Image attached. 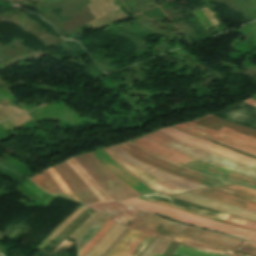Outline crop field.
Listing matches in <instances>:
<instances>
[{
	"mask_svg": "<svg viewBox=\"0 0 256 256\" xmlns=\"http://www.w3.org/2000/svg\"><path fill=\"white\" fill-rule=\"evenodd\" d=\"M119 148H121L123 151H125L130 156L141 160L142 162H145L149 165H152L154 167H157L159 169H162L164 171H167L169 173H172L174 175H177L179 177H182L187 180L195 181L200 184H203L205 186L209 187H219V186H226L229 184H232L230 182L218 179L216 177L186 168L184 166L178 165L176 163L158 158L151 153L129 143H122L117 145Z\"/></svg>",
	"mask_w": 256,
	"mask_h": 256,
	"instance_id": "crop-field-3",
	"label": "crop field"
},
{
	"mask_svg": "<svg viewBox=\"0 0 256 256\" xmlns=\"http://www.w3.org/2000/svg\"><path fill=\"white\" fill-rule=\"evenodd\" d=\"M242 245L256 249V244H253V243H249V242L244 241Z\"/></svg>",
	"mask_w": 256,
	"mask_h": 256,
	"instance_id": "crop-field-39",
	"label": "crop field"
},
{
	"mask_svg": "<svg viewBox=\"0 0 256 256\" xmlns=\"http://www.w3.org/2000/svg\"><path fill=\"white\" fill-rule=\"evenodd\" d=\"M218 190L227 192V193H231L234 195H237L239 197H243L246 199H250V200H254L256 201V191L252 190V189H248L242 186H238L236 184L234 185H230L224 188H216Z\"/></svg>",
	"mask_w": 256,
	"mask_h": 256,
	"instance_id": "crop-field-20",
	"label": "crop field"
},
{
	"mask_svg": "<svg viewBox=\"0 0 256 256\" xmlns=\"http://www.w3.org/2000/svg\"><path fill=\"white\" fill-rule=\"evenodd\" d=\"M199 239H203V240L218 243V244L229 245L236 248H238V246L242 242V240L234 239L231 237H227L224 235L207 232V231H204L202 235L199 237Z\"/></svg>",
	"mask_w": 256,
	"mask_h": 256,
	"instance_id": "crop-field-17",
	"label": "crop field"
},
{
	"mask_svg": "<svg viewBox=\"0 0 256 256\" xmlns=\"http://www.w3.org/2000/svg\"><path fill=\"white\" fill-rule=\"evenodd\" d=\"M243 102H245V103H247V104H249V105H251V106L256 107V100H254V99H252V98H249V99H247V100H245V101H243Z\"/></svg>",
	"mask_w": 256,
	"mask_h": 256,
	"instance_id": "crop-field-38",
	"label": "crop field"
},
{
	"mask_svg": "<svg viewBox=\"0 0 256 256\" xmlns=\"http://www.w3.org/2000/svg\"><path fill=\"white\" fill-rule=\"evenodd\" d=\"M87 207H89V208H91V209H93V210H95V211L105 215L106 217H108L110 219H112L113 217H115L118 214V213H116V212H114V211H112L110 209H107V208H105L103 206H100L98 204L87 206Z\"/></svg>",
	"mask_w": 256,
	"mask_h": 256,
	"instance_id": "crop-field-30",
	"label": "crop field"
},
{
	"mask_svg": "<svg viewBox=\"0 0 256 256\" xmlns=\"http://www.w3.org/2000/svg\"><path fill=\"white\" fill-rule=\"evenodd\" d=\"M145 235V233L139 232L138 235L131 240L129 245L126 247V249L120 256H129L132 253V251L139 245V243L142 241Z\"/></svg>",
	"mask_w": 256,
	"mask_h": 256,
	"instance_id": "crop-field-27",
	"label": "crop field"
},
{
	"mask_svg": "<svg viewBox=\"0 0 256 256\" xmlns=\"http://www.w3.org/2000/svg\"><path fill=\"white\" fill-rule=\"evenodd\" d=\"M30 179L32 182H34L36 185H38L43 190H45L53 195H56L42 173H40Z\"/></svg>",
	"mask_w": 256,
	"mask_h": 256,
	"instance_id": "crop-field-26",
	"label": "crop field"
},
{
	"mask_svg": "<svg viewBox=\"0 0 256 256\" xmlns=\"http://www.w3.org/2000/svg\"><path fill=\"white\" fill-rule=\"evenodd\" d=\"M91 216H92V224H91V226H92L96 222V220L101 216V214L95 212V213L91 214Z\"/></svg>",
	"mask_w": 256,
	"mask_h": 256,
	"instance_id": "crop-field-37",
	"label": "crop field"
},
{
	"mask_svg": "<svg viewBox=\"0 0 256 256\" xmlns=\"http://www.w3.org/2000/svg\"><path fill=\"white\" fill-rule=\"evenodd\" d=\"M154 238V236H150L147 234L144 240L140 243L137 249L130 256H140L147 248V246L154 240Z\"/></svg>",
	"mask_w": 256,
	"mask_h": 256,
	"instance_id": "crop-field-28",
	"label": "crop field"
},
{
	"mask_svg": "<svg viewBox=\"0 0 256 256\" xmlns=\"http://www.w3.org/2000/svg\"><path fill=\"white\" fill-rule=\"evenodd\" d=\"M130 230V228H126L125 231L120 235V237L117 239V241L102 255L105 256L124 236L125 234Z\"/></svg>",
	"mask_w": 256,
	"mask_h": 256,
	"instance_id": "crop-field-36",
	"label": "crop field"
},
{
	"mask_svg": "<svg viewBox=\"0 0 256 256\" xmlns=\"http://www.w3.org/2000/svg\"><path fill=\"white\" fill-rule=\"evenodd\" d=\"M42 172L48 179V181H49L50 185L52 186L53 190L55 191V193L58 196L67 198V196L63 193V191L54 183V181H53L52 177L49 175V173L46 170H44Z\"/></svg>",
	"mask_w": 256,
	"mask_h": 256,
	"instance_id": "crop-field-31",
	"label": "crop field"
},
{
	"mask_svg": "<svg viewBox=\"0 0 256 256\" xmlns=\"http://www.w3.org/2000/svg\"><path fill=\"white\" fill-rule=\"evenodd\" d=\"M74 159L95 180L102 190L113 199L120 200L139 195L107 171L91 153L76 156Z\"/></svg>",
	"mask_w": 256,
	"mask_h": 256,
	"instance_id": "crop-field-4",
	"label": "crop field"
},
{
	"mask_svg": "<svg viewBox=\"0 0 256 256\" xmlns=\"http://www.w3.org/2000/svg\"><path fill=\"white\" fill-rule=\"evenodd\" d=\"M221 130H225V131H228V132H231V133H234V134H237V135H240V136L246 137V138H250V139L256 140V139H254V138H251V137H248V136H245V135H242V134H239V133H236V132L230 131V130H226V129H223V128H221Z\"/></svg>",
	"mask_w": 256,
	"mask_h": 256,
	"instance_id": "crop-field-40",
	"label": "crop field"
},
{
	"mask_svg": "<svg viewBox=\"0 0 256 256\" xmlns=\"http://www.w3.org/2000/svg\"><path fill=\"white\" fill-rule=\"evenodd\" d=\"M139 231L131 229L129 233L106 255L119 256L130 240L137 235Z\"/></svg>",
	"mask_w": 256,
	"mask_h": 256,
	"instance_id": "crop-field-21",
	"label": "crop field"
},
{
	"mask_svg": "<svg viewBox=\"0 0 256 256\" xmlns=\"http://www.w3.org/2000/svg\"><path fill=\"white\" fill-rule=\"evenodd\" d=\"M202 232H203V230H199V229L184 225L181 228V230L175 235L173 240H177L181 243L189 244V245L196 246V247H200V248H204V249H208V250L219 251V252H225V253H229V254H233V252L236 250V248H233V247L218 245V244H214V243H210V242H206V241L197 239ZM173 242H176V241H173ZM176 243H178V242H176ZM181 243H179V244H181ZM185 244H181V245L199 249V248L192 247V246L185 245ZM199 250H203V249H199ZM208 250H203V251L229 255V254H225V253H219V252L208 251ZM233 255H235V254H233ZM233 255H230V256H233Z\"/></svg>",
	"mask_w": 256,
	"mask_h": 256,
	"instance_id": "crop-field-8",
	"label": "crop field"
},
{
	"mask_svg": "<svg viewBox=\"0 0 256 256\" xmlns=\"http://www.w3.org/2000/svg\"><path fill=\"white\" fill-rule=\"evenodd\" d=\"M53 168L64 180L72 193L83 203L94 204L99 202L86 184L65 163L53 166Z\"/></svg>",
	"mask_w": 256,
	"mask_h": 256,
	"instance_id": "crop-field-9",
	"label": "crop field"
},
{
	"mask_svg": "<svg viewBox=\"0 0 256 256\" xmlns=\"http://www.w3.org/2000/svg\"><path fill=\"white\" fill-rule=\"evenodd\" d=\"M159 131H161L177 140H180L182 142L193 145L195 147H198L203 150L209 151L211 153L220 155L222 157L229 158L231 160L242 163L244 165H248V166L256 168V159H253V158L248 157L243 154L233 152V151L226 149L220 145L213 144V143L207 142L205 140L199 139L197 137L185 134L173 127L163 128Z\"/></svg>",
	"mask_w": 256,
	"mask_h": 256,
	"instance_id": "crop-field-6",
	"label": "crop field"
},
{
	"mask_svg": "<svg viewBox=\"0 0 256 256\" xmlns=\"http://www.w3.org/2000/svg\"><path fill=\"white\" fill-rule=\"evenodd\" d=\"M95 158L105 166L111 173L120 178L125 184L134 189L141 195L148 193H155V191L150 190L139 182L136 178L122 169L117 163H115L111 158H109L101 149L92 152Z\"/></svg>",
	"mask_w": 256,
	"mask_h": 256,
	"instance_id": "crop-field-12",
	"label": "crop field"
},
{
	"mask_svg": "<svg viewBox=\"0 0 256 256\" xmlns=\"http://www.w3.org/2000/svg\"><path fill=\"white\" fill-rule=\"evenodd\" d=\"M193 192L214 198L219 201L227 202L230 204H234V205H237L240 207H244V208L256 211V203L250 202V201H247V200H244V199H241V198H238V197L226 194V193H222V192L215 191L212 189L193 191Z\"/></svg>",
	"mask_w": 256,
	"mask_h": 256,
	"instance_id": "crop-field-15",
	"label": "crop field"
},
{
	"mask_svg": "<svg viewBox=\"0 0 256 256\" xmlns=\"http://www.w3.org/2000/svg\"><path fill=\"white\" fill-rule=\"evenodd\" d=\"M178 127L179 129L186 131L194 136L201 137L203 139H206L208 141L211 140V138L215 135L216 131L208 129L206 127L200 126L198 124L188 122V123H182L178 125H174Z\"/></svg>",
	"mask_w": 256,
	"mask_h": 256,
	"instance_id": "crop-field-16",
	"label": "crop field"
},
{
	"mask_svg": "<svg viewBox=\"0 0 256 256\" xmlns=\"http://www.w3.org/2000/svg\"><path fill=\"white\" fill-rule=\"evenodd\" d=\"M236 254L244 255V256H256V250L240 246V248L237 250Z\"/></svg>",
	"mask_w": 256,
	"mask_h": 256,
	"instance_id": "crop-field-34",
	"label": "crop field"
},
{
	"mask_svg": "<svg viewBox=\"0 0 256 256\" xmlns=\"http://www.w3.org/2000/svg\"><path fill=\"white\" fill-rule=\"evenodd\" d=\"M131 143L161 157L189 168L216 176L218 178L237 183L256 190V180L239 175L228 170L213 166L200 160L182 155L172 149L163 147L145 136L130 141Z\"/></svg>",
	"mask_w": 256,
	"mask_h": 256,
	"instance_id": "crop-field-1",
	"label": "crop field"
},
{
	"mask_svg": "<svg viewBox=\"0 0 256 256\" xmlns=\"http://www.w3.org/2000/svg\"><path fill=\"white\" fill-rule=\"evenodd\" d=\"M173 197L256 221V212L243 209L237 206H233L227 203L219 202V201H216L192 192L185 193L178 196H173Z\"/></svg>",
	"mask_w": 256,
	"mask_h": 256,
	"instance_id": "crop-field-10",
	"label": "crop field"
},
{
	"mask_svg": "<svg viewBox=\"0 0 256 256\" xmlns=\"http://www.w3.org/2000/svg\"><path fill=\"white\" fill-rule=\"evenodd\" d=\"M175 255H181V256H223V255H217L207 252H202L199 250L183 247L179 245L178 249L175 252Z\"/></svg>",
	"mask_w": 256,
	"mask_h": 256,
	"instance_id": "crop-field-24",
	"label": "crop field"
},
{
	"mask_svg": "<svg viewBox=\"0 0 256 256\" xmlns=\"http://www.w3.org/2000/svg\"><path fill=\"white\" fill-rule=\"evenodd\" d=\"M108 156H110L114 161H116L120 166H122L125 170H127L129 173H131L133 176H135V175H137L141 180H143L146 184H148L150 187H152L153 189H155V190H159V191H162V192H164L165 190H167V189H170V190H172V191H177V190H182V189H179V188H176V187H173V186H171V185H168V184H166V183H164V182H162V181H159V180H157V179H155V178H153L152 176H150V175H148L147 173H145V172H143V171H141V170H139V169H137V168H135L134 166H132L130 163H128L127 161H125L124 159H122L120 156H118L117 154H115L114 152H112L109 148H101ZM138 172L140 175H142L143 177L145 176V177H147V178H149V179H151L152 181H154V182H156V183H158L159 185H161V186H163V187H165V188H167V189H165V188H163V187H161V186H159L158 184H156V183H154V182H152L151 180H149V179H147V178H143V177H141L139 174H137L136 172ZM135 172V173H134ZM135 175H134V174ZM137 176H135L138 180H140ZM140 180V181H141ZM143 181H141L143 184H145ZM145 184V185H146ZM148 185H146V186H148ZM148 186V187H149ZM149 187V188H150ZM151 188V189H152ZM167 191H169V190H167ZM167 191H165L163 194H167V195H173L174 193H176V194H179V193H182L183 191H185V190H183V191H178V192H174V193H171V192H167ZM161 192V193H162ZM185 192H188V191H185Z\"/></svg>",
	"mask_w": 256,
	"mask_h": 256,
	"instance_id": "crop-field-13",
	"label": "crop field"
},
{
	"mask_svg": "<svg viewBox=\"0 0 256 256\" xmlns=\"http://www.w3.org/2000/svg\"><path fill=\"white\" fill-rule=\"evenodd\" d=\"M110 149L112 151H114L115 153H117L118 155H120L121 157H123L128 162H130L135 167L147 172L148 174L152 175L153 177H155L159 180H162L168 184H171L173 186H176V187L188 190V191L200 189V188H207L198 183L184 180L182 178H179L177 176H174L172 174H169L167 172H164V171L154 168L152 166L146 165V164L130 157L129 155H127L125 152H123L116 146L110 147Z\"/></svg>",
	"mask_w": 256,
	"mask_h": 256,
	"instance_id": "crop-field-7",
	"label": "crop field"
},
{
	"mask_svg": "<svg viewBox=\"0 0 256 256\" xmlns=\"http://www.w3.org/2000/svg\"><path fill=\"white\" fill-rule=\"evenodd\" d=\"M48 172L53 177L55 183L65 192V194L68 196L69 199L79 201L68 189V187L65 185V183L62 181V179L58 176V174L53 170V168L47 169Z\"/></svg>",
	"mask_w": 256,
	"mask_h": 256,
	"instance_id": "crop-field-25",
	"label": "crop field"
},
{
	"mask_svg": "<svg viewBox=\"0 0 256 256\" xmlns=\"http://www.w3.org/2000/svg\"><path fill=\"white\" fill-rule=\"evenodd\" d=\"M120 202H124L130 205H133L135 207L157 213L163 216H166L170 219L177 220L183 223L199 226L202 228H206L209 230L225 233V234H230V235H235L239 237H243L246 239H250L253 241H256V233L239 229L236 227L228 226L225 224H221L218 222H214L208 219H204L201 217L193 216L185 212L178 211L173 208L161 206L155 203H151L145 200L138 199L136 197L126 199Z\"/></svg>",
	"mask_w": 256,
	"mask_h": 256,
	"instance_id": "crop-field-2",
	"label": "crop field"
},
{
	"mask_svg": "<svg viewBox=\"0 0 256 256\" xmlns=\"http://www.w3.org/2000/svg\"><path fill=\"white\" fill-rule=\"evenodd\" d=\"M169 244H170L169 241L162 239V241L159 244V246L157 247L156 251L151 256H161Z\"/></svg>",
	"mask_w": 256,
	"mask_h": 256,
	"instance_id": "crop-field-33",
	"label": "crop field"
},
{
	"mask_svg": "<svg viewBox=\"0 0 256 256\" xmlns=\"http://www.w3.org/2000/svg\"><path fill=\"white\" fill-rule=\"evenodd\" d=\"M116 222L108 219L102 228L78 251L79 256L86 254L90 248L97 243L101 237L115 224Z\"/></svg>",
	"mask_w": 256,
	"mask_h": 256,
	"instance_id": "crop-field-19",
	"label": "crop field"
},
{
	"mask_svg": "<svg viewBox=\"0 0 256 256\" xmlns=\"http://www.w3.org/2000/svg\"><path fill=\"white\" fill-rule=\"evenodd\" d=\"M138 198L145 199V200H148V201H152V202H155V203H158V204L170 206V207H173V208H176V209H179V210L189 212L193 215L201 216V217H204V218H208V219H211V220H215V221L224 223V220L217 219V218H214V217H211V216H207V215H204V214H201V213H198V212H194V211H191V210H188V209H184V208H181V207H178V206H175V205H171V204H168V203H165V202H162V201H158V200H155V199H152V198H148V197H145V196L138 197ZM225 224L240 227V228H244V229H248V230H252V231H256V223L245 220V219L233 217V216H230V215L227 218V220L225 221Z\"/></svg>",
	"mask_w": 256,
	"mask_h": 256,
	"instance_id": "crop-field-14",
	"label": "crop field"
},
{
	"mask_svg": "<svg viewBox=\"0 0 256 256\" xmlns=\"http://www.w3.org/2000/svg\"><path fill=\"white\" fill-rule=\"evenodd\" d=\"M99 204L120 213L118 216L112 219L118 223L122 222L124 219H126L128 216H130L132 213H134L137 210L135 208L129 207L119 202H108V203H99Z\"/></svg>",
	"mask_w": 256,
	"mask_h": 256,
	"instance_id": "crop-field-18",
	"label": "crop field"
},
{
	"mask_svg": "<svg viewBox=\"0 0 256 256\" xmlns=\"http://www.w3.org/2000/svg\"><path fill=\"white\" fill-rule=\"evenodd\" d=\"M90 224V217L85 220L79 227H77L68 237L77 240L88 228Z\"/></svg>",
	"mask_w": 256,
	"mask_h": 256,
	"instance_id": "crop-field-29",
	"label": "crop field"
},
{
	"mask_svg": "<svg viewBox=\"0 0 256 256\" xmlns=\"http://www.w3.org/2000/svg\"><path fill=\"white\" fill-rule=\"evenodd\" d=\"M214 140V139H213ZM215 141H217V140H215ZM219 142V141H218ZM222 143V142H221ZM223 144H225V143H223ZM226 145H228V144H226ZM228 146H230V145H228ZM231 147H233V146H231ZM233 148H236V147H233ZM236 149H238V148H236ZM238 150H241V149H238ZM241 151H244V150H241ZM244 152H246V151H244ZM247 153H249V152H247ZM250 154H252V153H250ZM254 155V154H253ZM256 156V155H255Z\"/></svg>",
	"mask_w": 256,
	"mask_h": 256,
	"instance_id": "crop-field-41",
	"label": "crop field"
},
{
	"mask_svg": "<svg viewBox=\"0 0 256 256\" xmlns=\"http://www.w3.org/2000/svg\"><path fill=\"white\" fill-rule=\"evenodd\" d=\"M132 226L138 227V228H141L148 232L159 234L163 237L172 239L173 236L177 233V231L181 228L182 225L166 221V220L161 219L155 215L147 213L141 219H139L137 222H135ZM134 227L130 226V228L140 230V229L134 228ZM143 230H141V231H143ZM148 232H146V233H148ZM151 233H149V234H151ZM155 234H151V235L161 237V236L155 235ZM163 237H161V238H163ZM164 239H166V238H164ZM170 239H167V240L170 241Z\"/></svg>",
	"mask_w": 256,
	"mask_h": 256,
	"instance_id": "crop-field-11",
	"label": "crop field"
},
{
	"mask_svg": "<svg viewBox=\"0 0 256 256\" xmlns=\"http://www.w3.org/2000/svg\"><path fill=\"white\" fill-rule=\"evenodd\" d=\"M224 128V127H223ZM254 137V136H253Z\"/></svg>",
	"mask_w": 256,
	"mask_h": 256,
	"instance_id": "crop-field-42",
	"label": "crop field"
},
{
	"mask_svg": "<svg viewBox=\"0 0 256 256\" xmlns=\"http://www.w3.org/2000/svg\"><path fill=\"white\" fill-rule=\"evenodd\" d=\"M148 138L166 146L177 150L185 155L203 160L205 162L211 163L213 165L228 169L230 171L240 173L256 179V169L226 160L222 157L207 153L205 151L196 149L194 147L188 146L180 141H177L159 131L146 135Z\"/></svg>",
	"mask_w": 256,
	"mask_h": 256,
	"instance_id": "crop-field-5",
	"label": "crop field"
},
{
	"mask_svg": "<svg viewBox=\"0 0 256 256\" xmlns=\"http://www.w3.org/2000/svg\"><path fill=\"white\" fill-rule=\"evenodd\" d=\"M214 139H217L219 141H222V142H225V143H228L230 145H233V146H236V147H239L241 149H244V150H247V151H250V152H253L256 154V150L254 149H251V148H248V147H245L243 145H240V144H237V143H234V142H231V141H228V140H225V139H222V138H219V137H216L214 136Z\"/></svg>",
	"mask_w": 256,
	"mask_h": 256,
	"instance_id": "crop-field-35",
	"label": "crop field"
},
{
	"mask_svg": "<svg viewBox=\"0 0 256 256\" xmlns=\"http://www.w3.org/2000/svg\"><path fill=\"white\" fill-rule=\"evenodd\" d=\"M144 214H146V212L138 210L134 214H132L130 217H128L126 220H124L121 224L129 227L132 223H134L136 220H138Z\"/></svg>",
	"mask_w": 256,
	"mask_h": 256,
	"instance_id": "crop-field-32",
	"label": "crop field"
},
{
	"mask_svg": "<svg viewBox=\"0 0 256 256\" xmlns=\"http://www.w3.org/2000/svg\"><path fill=\"white\" fill-rule=\"evenodd\" d=\"M108 218L101 216L97 222L78 241V250L101 228Z\"/></svg>",
	"mask_w": 256,
	"mask_h": 256,
	"instance_id": "crop-field-22",
	"label": "crop field"
},
{
	"mask_svg": "<svg viewBox=\"0 0 256 256\" xmlns=\"http://www.w3.org/2000/svg\"><path fill=\"white\" fill-rule=\"evenodd\" d=\"M216 136H219V137H222V138H225V139H228V140H231V141H234V142H237V143H240V144H243V145H246L248 147L256 149V142L255 141L243 139V138L237 137V136L232 135V134H230L228 132H225V131L219 130L218 133L216 134Z\"/></svg>",
	"mask_w": 256,
	"mask_h": 256,
	"instance_id": "crop-field-23",
	"label": "crop field"
}]
</instances>
